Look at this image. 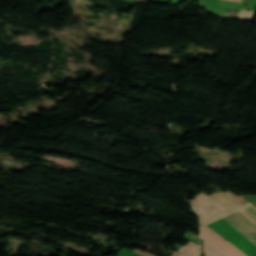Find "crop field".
I'll use <instances>...</instances> for the list:
<instances>
[{"mask_svg": "<svg viewBox=\"0 0 256 256\" xmlns=\"http://www.w3.org/2000/svg\"><path fill=\"white\" fill-rule=\"evenodd\" d=\"M189 202L197 210L201 226L230 213L202 192Z\"/></svg>", "mask_w": 256, "mask_h": 256, "instance_id": "obj_1", "label": "crop field"}, {"mask_svg": "<svg viewBox=\"0 0 256 256\" xmlns=\"http://www.w3.org/2000/svg\"><path fill=\"white\" fill-rule=\"evenodd\" d=\"M201 238L224 256H245L207 226L201 228Z\"/></svg>", "mask_w": 256, "mask_h": 256, "instance_id": "obj_2", "label": "crop field"}, {"mask_svg": "<svg viewBox=\"0 0 256 256\" xmlns=\"http://www.w3.org/2000/svg\"><path fill=\"white\" fill-rule=\"evenodd\" d=\"M230 224L256 244V225L239 211L224 217Z\"/></svg>", "mask_w": 256, "mask_h": 256, "instance_id": "obj_3", "label": "crop field"}, {"mask_svg": "<svg viewBox=\"0 0 256 256\" xmlns=\"http://www.w3.org/2000/svg\"><path fill=\"white\" fill-rule=\"evenodd\" d=\"M209 197L214 199L216 202H218L219 204H221L231 212L249 205L243 199L237 197L236 195L232 194L229 191L225 193L224 192L215 193Z\"/></svg>", "mask_w": 256, "mask_h": 256, "instance_id": "obj_4", "label": "crop field"}, {"mask_svg": "<svg viewBox=\"0 0 256 256\" xmlns=\"http://www.w3.org/2000/svg\"><path fill=\"white\" fill-rule=\"evenodd\" d=\"M240 211L256 224V208L255 207L250 205Z\"/></svg>", "mask_w": 256, "mask_h": 256, "instance_id": "obj_5", "label": "crop field"}, {"mask_svg": "<svg viewBox=\"0 0 256 256\" xmlns=\"http://www.w3.org/2000/svg\"><path fill=\"white\" fill-rule=\"evenodd\" d=\"M256 12L253 11H241L237 20L252 22Z\"/></svg>", "mask_w": 256, "mask_h": 256, "instance_id": "obj_6", "label": "crop field"}, {"mask_svg": "<svg viewBox=\"0 0 256 256\" xmlns=\"http://www.w3.org/2000/svg\"><path fill=\"white\" fill-rule=\"evenodd\" d=\"M203 247H204V254L207 256H223L218 251H216L214 248H212L210 245H208L206 242L203 241Z\"/></svg>", "mask_w": 256, "mask_h": 256, "instance_id": "obj_7", "label": "crop field"}, {"mask_svg": "<svg viewBox=\"0 0 256 256\" xmlns=\"http://www.w3.org/2000/svg\"><path fill=\"white\" fill-rule=\"evenodd\" d=\"M136 252H138V253H140V254H142V255H144V256H154V255H151V254L142 252V251H140V250H138V249H136Z\"/></svg>", "mask_w": 256, "mask_h": 256, "instance_id": "obj_8", "label": "crop field"}, {"mask_svg": "<svg viewBox=\"0 0 256 256\" xmlns=\"http://www.w3.org/2000/svg\"><path fill=\"white\" fill-rule=\"evenodd\" d=\"M230 1H236V2H241V0H230Z\"/></svg>", "mask_w": 256, "mask_h": 256, "instance_id": "obj_9", "label": "crop field"}]
</instances>
